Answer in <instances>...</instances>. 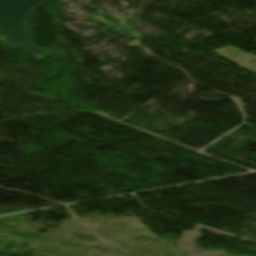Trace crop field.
Instances as JSON below:
<instances>
[{
	"label": "crop field",
	"mask_w": 256,
	"mask_h": 256,
	"mask_svg": "<svg viewBox=\"0 0 256 256\" xmlns=\"http://www.w3.org/2000/svg\"><path fill=\"white\" fill-rule=\"evenodd\" d=\"M47 0H0V38L39 60L41 49L32 44V18Z\"/></svg>",
	"instance_id": "8a807250"
}]
</instances>
